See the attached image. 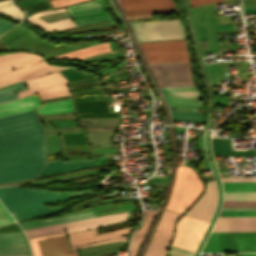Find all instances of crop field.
Instances as JSON below:
<instances>
[{
  "label": "crop field",
  "mask_w": 256,
  "mask_h": 256,
  "mask_svg": "<svg viewBox=\"0 0 256 256\" xmlns=\"http://www.w3.org/2000/svg\"><path fill=\"white\" fill-rule=\"evenodd\" d=\"M78 130H84V129H74V130H66V131H78ZM58 132H65V131H58ZM50 133H56V132H50ZM50 133H47V134H50Z\"/></svg>",
  "instance_id": "crop-field-62"
},
{
  "label": "crop field",
  "mask_w": 256,
  "mask_h": 256,
  "mask_svg": "<svg viewBox=\"0 0 256 256\" xmlns=\"http://www.w3.org/2000/svg\"><path fill=\"white\" fill-rule=\"evenodd\" d=\"M30 88L19 92V97L38 92L41 100L70 94L63 79L57 72L24 81Z\"/></svg>",
  "instance_id": "crop-field-10"
},
{
  "label": "crop field",
  "mask_w": 256,
  "mask_h": 256,
  "mask_svg": "<svg viewBox=\"0 0 256 256\" xmlns=\"http://www.w3.org/2000/svg\"><path fill=\"white\" fill-rule=\"evenodd\" d=\"M244 6L256 5V0H243Z\"/></svg>",
  "instance_id": "crop-field-56"
},
{
  "label": "crop field",
  "mask_w": 256,
  "mask_h": 256,
  "mask_svg": "<svg viewBox=\"0 0 256 256\" xmlns=\"http://www.w3.org/2000/svg\"><path fill=\"white\" fill-rule=\"evenodd\" d=\"M97 79H99V76L92 77V78L81 79V80H76V81H72V82H68V85L72 86V85H77V84L95 82V81H98Z\"/></svg>",
  "instance_id": "crop-field-49"
},
{
  "label": "crop field",
  "mask_w": 256,
  "mask_h": 256,
  "mask_svg": "<svg viewBox=\"0 0 256 256\" xmlns=\"http://www.w3.org/2000/svg\"><path fill=\"white\" fill-rule=\"evenodd\" d=\"M131 25L138 42L186 38L180 19Z\"/></svg>",
  "instance_id": "crop-field-6"
},
{
  "label": "crop field",
  "mask_w": 256,
  "mask_h": 256,
  "mask_svg": "<svg viewBox=\"0 0 256 256\" xmlns=\"http://www.w3.org/2000/svg\"><path fill=\"white\" fill-rule=\"evenodd\" d=\"M89 166V161L70 164H68L66 161H49L42 169V171L38 174V176L60 173Z\"/></svg>",
  "instance_id": "crop-field-26"
},
{
  "label": "crop field",
  "mask_w": 256,
  "mask_h": 256,
  "mask_svg": "<svg viewBox=\"0 0 256 256\" xmlns=\"http://www.w3.org/2000/svg\"><path fill=\"white\" fill-rule=\"evenodd\" d=\"M14 220L0 203V225L13 222Z\"/></svg>",
  "instance_id": "crop-field-45"
},
{
  "label": "crop field",
  "mask_w": 256,
  "mask_h": 256,
  "mask_svg": "<svg viewBox=\"0 0 256 256\" xmlns=\"http://www.w3.org/2000/svg\"><path fill=\"white\" fill-rule=\"evenodd\" d=\"M96 92H102V91H101V89H97V90H91V91H85V92H77V93H73V94L96 93Z\"/></svg>",
  "instance_id": "crop-field-60"
},
{
  "label": "crop field",
  "mask_w": 256,
  "mask_h": 256,
  "mask_svg": "<svg viewBox=\"0 0 256 256\" xmlns=\"http://www.w3.org/2000/svg\"><path fill=\"white\" fill-rule=\"evenodd\" d=\"M78 118L81 117H119L118 113H82L77 114Z\"/></svg>",
  "instance_id": "crop-field-46"
},
{
  "label": "crop field",
  "mask_w": 256,
  "mask_h": 256,
  "mask_svg": "<svg viewBox=\"0 0 256 256\" xmlns=\"http://www.w3.org/2000/svg\"><path fill=\"white\" fill-rule=\"evenodd\" d=\"M14 24L0 20V35L10 29Z\"/></svg>",
  "instance_id": "crop-field-50"
},
{
  "label": "crop field",
  "mask_w": 256,
  "mask_h": 256,
  "mask_svg": "<svg viewBox=\"0 0 256 256\" xmlns=\"http://www.w3.org/2000/svg\"><path fill=\"white\" fill-rule=\"evenodd\" d=\"M125 220H127L126 212L107 215V216L82 219V220H77V221H72V222H67V223L42 227V228L27 229L24 231L26 232L28 238L61 233V232H64V229H66L67 234H69L76 231L121 223V222H125Z\"/></svg>",
  "instance_id": "crop-field-5"
},
{
  "label": "crop field",
  "mask_w": 256,
  "mask_h": 256,
  "mask_svg": "<svg viewBox=\"0 0 256 256\" xmlns=\"http://www.w3.org/2000/svg\"><path fill=\"white\" fill-rule=\"evenodd\" d=\"M90 89H94L93 86L81 87V88L73 89V90H71V91H72V92H75V91L90 90Z\"/></svg>",
  "instance_id": "crop-field-57"
},
{
  "label": "crop field",
  "mask_w": 256,
  "mask_h": 256,
  "mask_svg": "<svg viewBox=\"0 0 256 256\" xmlns=\"http://www.w3.org/2000/svg\"><path fill=\"white\" fill-rule=\"evenodd\" d=\"M219 216H256V211H221Z\"/></svg>",
  "instance_id": "crop-field-43"
},
{
  "label": "crop field",
  "mask_w": 256,
  "mask_h": 256,
  "mask_svg": "<svg viewBox=\"0 0 256 256\" xmlns=\"http://www.w3.org/2000/svg\"><path fill=\"white\" fill-rule=\"evenodd\" d=\"M45 161L0 170V182L35 177Z\"/></svg>",
  "instance_id": "crop-field-19"
},
{
  "label": "crop field",
  "mask_w": 256,
  "mask_h": 256,
  "mask_svg": "<svg viewBox=\"0 0 256 256\" xmlns=\"http://www.w3.org/2000/svg\"><path fill=\"white\" fill-rule=\"evenodd\" d=\"M203 185L191 167H178L166 209L182 213L201 193Z\"/></svg>",
  "instance_id": "crop-field-3"
},
{
  "label": "crop field",
  "mask_w": 256,
  "mask_h": 256,
  "mask_svg": "<svg viewBox=\"0 0 256 256\" xmlns=\"http://www.w3.org/2000/svg\"><path fill=\"white\" fill-rule=\"evenodd\" d=\"M156 211L146 212V221L142 227L134 234L129 250V256H135L142 240L145 237V233L155 215Z\"/></svg>",
  "instance_id": "crop-field-30"
},
{
  "label": "crop field",
  "mask_w": 256,
  "mask_h": 256,
  "mask_svg": "<svg viewBox=\"0 0 256 256\" xmlns=\"http://www.w3.org/2000/svg\"><path fill=\"white\" fill-rule=\"evenodd\" d=\"M161 90H162V92L169 94V95L204 100L196 86L168 88V89H161Z\"/></svg>",
  "instance_id": "crop-field-32"
},
{
  "label": "crop field",
  "mask_w": 256,
  "mask_h": 256,
  "mask_svg": "<svg viewBox=\"0 0 256 256\" xmlns=\"http://www.w3.org/2000/svg\"><path fill=\"white\" fill-rule=\"evenodd\" d=\"M92 191L58 192L28 189L23 187L0 188V200L15 217L16 220L36 216H49L58 213L63 207L49 208L41 203L59 202L73 197L88 194Z\"/></svg>",
  "instance_id": "crop-field-1"
},
{
  "label": "crop field",
  "mask_w": 256,
  "mask_h": 256,
  "mask_svg": "<svg viewBox=\"0 0 256 256\" xmlns=\"http://www.w3.org/2000/svg\"><path fill=\"white\" fill-rule=\"evenodd\" d=\"M216 201H217L216 183L207 181V185L203 194L197 200V202L187 211L185 215L209 221L215 209Z\"/></svg>",
  "instance_id": "crop-field-15"
},
{
  "label": "crop field",
  "mask_w": 256,
  "mask_h": 256,
  "mask_svg": "<svg viewBox=\"0 0 256 256\" xmlns=\"http://www.w3.org/2000/svg\"><path fill=\"white\" fill-rule=\"evenodd\" d=\"M68 98H71V96L67 95V96H62V97H58V98H54V99L44 100V101H42V103L49 102V101H55V100L68 99Z\"/></svg>",
  "instance_id": "crop-field-54"
},
{
  "label": "crop field",
  "mask_w": 256,
  "mask_h": 256,
  "mask_svg": "<svg viewBox=\"0 0 256 256\" xmlns=\"http://www.w3.org/2000/svg\"><path fill=\"white\" fill-rule=\"evenodd\" d=\"M101 82H95V83H90V84H84V85H77V86H72L70 87L71 89L81 87V86H88V85H99Z\"/></svg>",
  "instance_id": "crop-field-59"
},
{
  "label": "crop field",
  "mask_w": 256,
  "mask_h": 256,
  "mask_svg": "<svg viewBox=\"0 0 256 256\" xmlns=\"http://www.w3.org/2000/svg\"><path fill=\"white\" fill-rule=\"evenodd\" d=\"M42 131L34 110L0 118V141Z\"/></svg>",
  "instance_id": "crop-field-9"
},
{
  "label": "crop field",
  "mask_w": 256,
  "mask_h": 256,
  "mask_svg": "<svg viewBox=\"0 0 256 256\" xmlns=\"http://www.w3.org/2000/svg\"><path fill=\"white\" fill-rule=\"evenodd\" d=\"M212 231H256V217H219Z\"/></svg>",
  "instance_id": "crop-field-18"
},
{
  "label": "crop field",
  "mask_w": 256,
  "mask_h": 256,
  "mask_svg": "<svg viewBox=\"0 0 256 256\" xmlns=\"http://www.w3.org/2000/svg\"><path fill=\"white\" fill-rule=\"evenodd\" d=\"M222 210H256V208H222Z\"/></svg>",
  "instance_id": "crop-field-55"
},
{
  "label": "crop field",
  "mask_w": 256,
  "mask_h": 256,
  "mask_svg": "<svg viewBox=\"0 0 256 256\" xmlns=\"http://www.w3.org/2000/svg\"><path fill=\"white\" fill-rule=\"evenodd\" d=\"M64 12H66V11H64ZM64 12H59V13L49 14V15H46V16L55 15V14H60V13H64ZM46 16H42V17H46ZM42 17H40V18H42Z\"/></svg>",
  "instance_id": "crop-field-63"
},
{
  "label": "crop field",
  "mask_w": 256,
  "mask_h": 256,
  "mask_svg": "<svg viewBox=\"0 0 256 256\" xmlns=\"http://www.w3.org/2000/svg\"><path fill=\"white\" fill-rule=\"evenodd\" d=\"M224 192H254L256 182H222Z\"/></svg>",
  "instance_id": "crop-field-33"
},
{
  "label": "crop field",
  "mask_w": 256,
  "mask_h": 256,
  "mask_svg": "<svg viewBox=\"0 0 256 256\" xmlns=\"http://www.w3.org/2000/svg\"><path fill=\"white\" fill-rule=\"evenodd\" d=\"M224 200H256L254 193H224Z\"/></svg>",
  "instance_id": "crop-field-40"
},
{
  "label": "crop field",
  "mask_w": 256,
  "mask_h": 256,
  "mask_svg": "<svg viewBox=\"0 0 256 256\" xmlns=\"http://www.w3.org/2000/svg\"><path fill=\"white\" fill-rule=\"evenodd\" d=\"M256 251V232H211L201 252Z\"/></svg>",
  "instance_id": "crop-field-4"
},
{
  "label": "crop field",
  "mask_w": 256,
  "mask_h": 256,
  "mask_svg": "<svg viewBox=\"0 0 256 256\" xmlns=\"http://www.w3.org/2000/svg\"><path fill=\"white\" fill-rule=\"evenodd\" d=\"M0 50H8V49H6L4 46H2V45L0 44Z\"/></svg>",
  "instance_id": "crop-field-64"
},
{
  "label": "crop field",
  "mask_w": 256,
  "mask_h": 256,
  "mask_svg": "<svg viewBox=\"0 0 256 256\" xmlns=\"http://www.w3.org/2000/svg\"><path fill=\"white\" fill-rule=\"evenodd\" d=\"M41 106L36 95L28 96L18 100L10 101L0 104V117L11 115L27 110H31L34 107Z\"/></svg>",
  "instance_id": "crop-field-20"
},
{
  "label": "crop field",
  "mask_w": 256,
  "mask_h": 256,
  "mask_svg": "<svg viewBox=\"0 0 256 256\" xmlns=\"http://www.w3.org/2000/svg\"><path fill=\"white\" fill-rule=\"evenodd\" d=\"M63 145L86 144L85 133L61 135Z\"/></svg>",
  "instance_id": "crop-field-39"
},
{
  "label": "crop field",
  "mask_w": 256,
  "mask_h": 256,
  "mask_svg": "<svg viewBox=\"0 0 256 256\" xmlns=\"http://www.w3.org/2000/svg\"><path fill=\"white\" fill-rule=\"evenodd\" d=\"M15 1H17V0H15Z\"/></svg>",
  "instance_id": "crop-field-65"
},
{
  "label": "crop field",
  "mask_w": 256,
  "mask_h": 256,
  "mask_svg": "<svg viewBox=\"0 0 256 256\" xmlns=\"http://www.w3.org/2000/svg\"><path fill=\"white\" fill-rule=\"evenodd\" d=\"M130 229H131V227L113 231V232L100 234V235H98L96 233V229H95V230H89V231L76 232L73 234H69V236H70V242L72 245V249H75V248H81V247L91 246V245L105 243V242L126 239V236H121V235L128 234ZM116 236H121V237L112 238V237H116ZM107 238H112V239H108V240H104V241H100V242H96V243H92V244H87V245L76 246V245H80V244H85V243H89V242L107 239ZM73 246H76V247H73Z\"/></svg>",
  "instance_id": "crop-field-17"
},
{
  "label": "crop field",
  "mask_w": 256,
  "mask_h": 256,
  "mask_svg": "<svg viewBox=\"0 0 256 256\" xmlns=\"http://www.w3.org/2000/svg\"><path fill=\"white\" fill-rule=\"evenodd\" d=\"M222 181H256V177L249 178H221Z\"/></svg>",
  "instance_id": "crop-field-51"
},
{
  "label": "crop field",
  "mask_w": 256,
  "mask_h": 256,
  "mask_svg": "<svg viewBox=\"0 0 256 256\" xmlns=\"http://www.w3.org/2000/svg\"><path fill=\"white\" fill-rule=\"evenodd\" d=\"M8 3H12V2L10 0L0 1V6L4 5V4H8ZM0 13L7 14V15L13 17L15 20H17L19 22L25 20L22 12L19 9H17L13 5V3L5 5V6H1L0 7Z\"/></svg>",
  "instance_id": "crop-field-36"
},
{
  "label": "crop field",
  "mask_w": 256,
  "mask_h": 256,
  "mask_svg": "<svg viewBox=\"0 0 256 256\" xmlns=\"http://www.w3.org/2000/svg\"><path fill=\"white\" fill-rule=\"evenodd\" d=\"M171 234L155 231L145 256H167Z\"/></svg>",
  "instance_id": "crop-field-23"
},
{
  "label": "crop field",
  "mask_w": 256,
  "mask_h": 256,
  "mask_svg": "<svg viewBox=\"0 0 256 256\" xmlns=\"http://www.w3.org/2000/svg\"><path fill=\"white\" fill-rule=\"evenodd\" d=\"M64 10H65V8L54 10V11L40 12V13H37V14L31 16L30 18H28V20L30 23L37 25L38 27H40L48 32L75 27L71 18L65 19L62 21H58V22H52V23H47L38 18L39 16H42V15H46V14L53 13V12L64 11Z\"/></svg>",
  "instance_id": "crop-field-24"
},
{
  "label": "crop field",
  "mask_w": 256,
  "mask_h": 256,
  "mask_svg": "<svg viewBox=\"0 0 256 256\" xmlns=\"http://www.w3.org/2000/svg\"><path fill=\"white\" fill-rule=\"evenodd\" d=\"M34 256H77L69 251L64 233L29 239Z\"/></svg>",
  "instance_id": "crop-field-12"
},
{
  "label": "crop field",
  "mask_w": 256,
  "mask_h": 256,
  "mask_svg": "<svg viewBox=\"0 0 256 256\" xmlns=\"http://www.w3.org/2000/svg\"><path fill=\"white\" fill-rule=\"evenodd\" d=\"M214 156L255 155L254 150L234 151L231 140L211 139Z\"/></svg>",
  "instance_id": "crop-field-27"
},
{
  "label": "crop field",
  "mask_w": 256,
  "mask_h": 256,
  "mask_svg": "<svg viewBox=\"0 0 256 256\" xmlns=\"http://www.w3.org/2000/svg\"><path fill=\"white\" fill-rule=\"evenodd\" d=\"M179 216L180 215H178V214H174V213L165 211L160 222H159L157 230H161V231L172 234L173 223H175V221L178 219Z\"/></svg>",
  "instance_id": "crop-field-35"
},
{
  "label": "crop field",
  "mask_w": 256,
  "mask_h": 256,
  "mask_svg": "<svg viewBox=\"0 0 256 256\" xmlns=\"http://www.w3.org/2000/svg\"><path fill=\"white\" fill-rule=\"evenodd\" d=\"M76 26L109 19L103 0L83 2L68 7Z\"/></svg>",
  "instance_id": "crop-field-13"
},
{
  "label": "crop field",
  "mask_w": 256,
  "mask_h": 256,
  "mask_svg": "<svg viewBox=\"0 0 256 256\" xmlns=\"http://www.w3.org/2000/svg\"><path fill=\"white\" fill-rule=\"evenodd\" d=\"M223 207H256V201H224Z\"/></svg>",
  "instance_id": "crop-field-42"
},
{
  "label": "crop field",
  "mask_w": 256,
  "mask_h": 256,
  "mask_svg": "<svg viewBox=\"0 0 256 256\" xmlns=\"http://www.w3.org/2000/svg\"><path fill=\"white\" fill-rule=\"evenodd\" d=\"M160 88L194 85L190 61L150 65Z\"/></svg>",
  "instance_id": "crop-field-7"
},
{
  "label": "crop field",
  "mask_w": 256,
  "mask_h": 256,
  "mask_svg": "<svg viewBox=\"0 0 256 256\" xmlns=\"http://www.w3.org/2000/svg\"><path fill=\"white\" fill-rule=\"evenodd\" d=\"M38 1H41V0H22V1H18L17 3H18L20 6H23V5L35 3V2H38ZM45 1H47V0H45ZM45 1H41V2H45ZM41 2H38V3H41ZM35 4H37V3H35ZM31 5H33V4H31ZM47 5H48V3L45 2V3L33 5V6L27 5V6H29V7H25V6H23V7H25V8H24L25 10H27V9H32V8H37V7L47 6ZM46 9H49V6H47V7H42V8H37V9H32V10H27V11H25V12H26L27 16H30V15H31L32 13H34V12L41 11V10H46Z\"/></svg>",
  "instance_id": "crop-field-38"
},
{
  "label": "crop field",
  "mask_w": 256,
  "mask_h": 256,
  "mask_svg": "<svg viewBox=\"0 0 256 256\" xmlns=\"http://www.w3.org/2000/svg\"><path fill=\"white\" fill-rule=\"evenodd\" d=\"M38 115L58 113V112H72L73 105L71 99L45 103L44 108L36 109Z\"/></svg>",
  "instance_id": "crop-field-31"
},
{
  "label": "crop field",
  "mask_w": 256,
  "mask_h": 256,
  "mask_svg": "<svg viewBox=\"0 0 256 256\" xmlns=\"http://www.w3.org/2000/svg\"><path fill=\"white\" fill-rule=\"evenodd\" d=\"M139 45L148 63L190 60L186 40Z\"/></svg>",
  "instance_id": "crop-field-8"
},
{
  "label": "crop field",
  "mask_w": 256,
  "mask_h": 256,
  "mask_svg": "<svg viewBox=\"0 0 256 256\" xmlns=\"http://www.w3.org/2000/svg\"><path fill=\"white\" fill-rule=\"evenodd\" d=\"M178 12L176 8L124 12L126 16Z\"/></svg>",
  "instance_id": "crop-field-41"
},
{
  "label": "crop field",
  "mask_w": 256,
  "mask_h": 256,
  "mask_svg": "<svg viewBox=\"0 0 256 256\" xmlns=\"http://www.w3.org/2000/svg\"><path fill=\"white\" fill-rule=\"evenodd\" d=\"M0 256H32L23 232L0 234Z\"/></svg>",
  "instance_id": "crop-field-16"
},
{
  "label": "crop field",
  "mask_w": 256,
  "mask_h": 256,
  "mask_svg": "<svg viewBox=\"0 0 256 256\" xmlns=\"http://www.w3.org/2000/svg\"><path fill=\"white\" fill-rule=\"evenodd\" d=\"M240 256H256V253H240Z\"/></svg>",
  "instance_id": "crop-field-61"
},
{
  "label": "crop field",
  "mask_w": 256,
  "mask_h": 256,
  "mask_svg": "<svg viewBox=\"0 0 256 256\" xmlns=\"http://www.w3.org/2000/svg\"><path fill=\"white\" fill-rule=\"evenodd\" d=\"M173 120L204 123V114L170 110Z\"/></svg>",
  "instance_id": "crop-field-34"
},
{
  "label": "crop field",
  "mask_w": 256,
  "mask_h": 256,
  "mask_svg": "<svg viewBox=\"0 0 256 256\" xmlns=\"http://www.w3.org/2000/svg\"><path fill=\"white\" fill-rule=\"evenodd\" d=\"M207 222L183 216L176 224L173 246L195 251Z\"/></svg>",
  "instance_id": "crop-field-11"
},
{
  "label": "crop field",
  "mask_w": 256,
  "mask_h": 256,
  "mask_svg": "<svg viewBox=\"0 0 256 256\" xmlns=\"http://www.w3.org/2000/svg\"><path fill=\"white\" fill-rule=\"evenodd\" d=\"M193 251L171 247L170 256H192Z\"/></svg>",
  "instance_id": "crop-field-47"
},
{
  "label": "crop field",
  "mask_w": 256,
  "mask_h": 256,
  "mask_svg": "<svg viewBox=\"0 0 256 256\" xmlns=\"http://www.w3.org/2000/svg\"><path fill=\"white\" fill-rule=\"evenodd\" d=\"M109 50H111V49H110L108 43L106 42V43H102V44H98V45H94V46H90V47L73 50L68 53L56 56L52 59L70 58V59L77 60L80 58H84V57H87L90 55H94V54L109 51Z\"/></svg>",
  "instance_id": "crop-field-28"
},
{
  "label": "crop field",
  "mask_w": 256,
  "mask_h": 256,
  "mask_svg": "<svg viewBox=\"0 0 256 256\" xmlns=\"http://www.w3.org/2000/svg\"><path fill=\"white\" fill-rule=\"evenodd\" d=\"M93 216H96L94 211H90V212L66 215V216L53 218V219L22 221L19 223L23 227V229H27V228L39 227V226L50 225V224L82 219L87 217H93Z\"/></svg>",
  "instance_id": "crop-field-25"
},
{
  "label": "crop field",
  "mask_w": 256,
  "mask_h": 256,
  "mask_svg": "<svg viewBox=\"0 0 256 256\" xmlns=\"http://www.w3.org/2000/svg\"><path fill=\"white\" fill-rule=\"evenodd\" d=\"M45 147V132L1 141L0 169L43 161L45 160Z\"/></svg>",
  "instance_id": "crop-field-2"
},
{
  "label": "crop field",
  "mask_w": 256,
  "mask_h": 256,
  "mask_svg": "<svg viewBox=\"0 0 256 256\" xmlns=\"http://www.w3.org/2000/svg\"><path fill=\"white\" fill-rule=\"evenodd\" d=\"M133 202H135V199L124 200V201H120V202H114V203H112V205L116 206V205H122V204H129V203H133Z\"/></svg>",
  "instance_id": "crop-field-53"
},
{
  "label": "crop field",
  "mask_w": 256,
  "mask_h": 256,
  "mask_svg": "<svg viewBox=\"0 0 256 256\" xmlns=\"http://www.w3.org/2000/svg\"><path fill=\"white\" fill-rule=\"evenodd\" d=\"M42 58L37 55H30L24 53H12L0 56V72L10 70L25 64H29Z\"/></svg>",
  "instance_id": "crop-field-22"
},
{
  "label": "crop field",
  "mask_w": 256,
  "mask_h": 256,
  "mask_svg": "<svg viewBox=\"0 0 256 256\" xmlns=\"http://www.w3.org/2000/svg\"><path fill=\"white\" fill-rule=\"evenodd\" d=\"M67 67H53L46 65L45 61H41L32 65H28L10 72L0 74V87L33 77H37L46 73L60 70Z\"/></svg>",
  "instance_id": "crop-field-14"
},
{
  "label": "crop field",
  "mask_w": 256,
  "mask_h": 256,
  "mask_svg": "<svg viewBox=\"0 0 256 256\" xmlns=\"http://www.w3.org/2000/svg\"><path fill=\"white\" fill-rule=\"evenodd\" d=\"M214 1H219V0H190L191 7L201 5V4H206Z\"/></svg>",
  "instance_id": "crop-field-52"
},
{
  "label": "crop field",
  "mask_w": 256,
  "mask_h": 256,
  "mask_svg": "<svg viewBox=\"0 0 256 256\" xmlns=\"http://www.w3.org/2000/svg\"><path fill=\"white\" fill-rule=\"evenodd\" d=\"M81 1H86V0H51L50 2L53 6L58 7V6L77 3Z\"/></svg>",
  "instance_id": "crop-field-48"
},
{
  "label": "crop field",
  "mask_w": 256,
  "mask_h": 256,
  "mask_svg": "<svg viewBox=\"0 0 256 256\" xmlns=\"http://www.w3.org/2000/svg\"><path fill=\"white\" fill-rule=\"evenodd\" d=\"M97 101L96 97L74 98V102ZM77 112H110L107 102L74 103Z\"/></svg>",
  "instance_id": "crop-field-29"
},
{
  "label": "crop field",
  "mask_w": 256,
  "mask_h": 256,
  "mask_svg": "<svg viewBox=\"0 0 256 256\" xmlns=\"http://www.w3.org/2000/svg\"><path fill=\"white\" fill-rule=\"evenodd\" d=\"M166 101H170V102H178V103H186V104H194V105H202L205 106V102H201V101H193V100H186V99H180V98H175L172 96H166L164 95Z\"/></svg>",
  "instance_id": "crop-field-44"
},
{
  "label": "crop field",
  "mask_w": 256,
  "mask_h": 256,
  "mask_svg": "<svg viewBox=\"0 0 256 256\" xmlns=\"http://www.w3.org/2000/svg\"><path fill=\"white\" fill-rule=\"evenodd\" d=\"M124 11L176 7L172 0H119Z\"/></svg>",
  "instance_id": "crop-field-21"
},
{
  "label": "crop field",
  "mask_w": 256,
  "mask_h": 256,
  "mask_svg": "<svg viewBox=\"0 0 256 256\" xmlns=\"http://www.w3.org/2000/svg\"><path fill=\"white\" fill-rule=\"evenodd\" d=\"M26 89L25 86L21 83L6 89L0 90V103L12 99L18 98L16 93L17 91H21Z\"/></svg>",
  "instance_id": "crop-field-37"
},
{
  "label": "crop field",
  "mask_w": 256,
  "mask_h": 256,
  "mask_svg": "<svg viewBox=\"0 0 256 256\" xmlns=\"http://www.w3.org/2000/svg\"><path fill=\"white\" fill-rule=\"evenodd\" d=\"M83 153H92V150L80 151V152H69V153H65V155H71V154H83Z\"/></svg>",
  "instance_id": "crop-field-58"
}]
</instances>
